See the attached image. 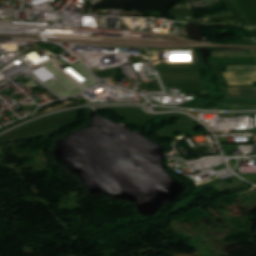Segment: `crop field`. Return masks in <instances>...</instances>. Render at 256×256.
<instances>
[{
    "label": "crop field",
    "mask_w": 256,
    "mask_h": 256,
    "mask_svg": "<svg viewBox=\"0 0 256 256\" xmlns=\"http://www.w3.org/2000/svg\"><path fill=\"white\" fill-rule=\"evenodd\" d=\"M77 116L78 113L73 112L40 120L0 138V144L15 140L39 137L54 132L75 124Z\"/></svg>",
    "instance_id": "1"
},
{
    "label": "crop field",
    "mask_w": 256,
    "mask_h": 256,
    "mask_svg": "<svg viewBox=\"0 0 256 256\" xmlns=\"http://www.w3.org/2000/svg\"><path fill=\"white\" fill-rule=\"evenodd\" d=\"M223 75L228 85H252L256 81V66H227Z\"/></svg>",
    "instance_id": "2"
},
{
    "label": "crop field",
    "mask_w": 256,
    "mask_h": 256,
    "mask_svg": "<svg viewBox=\"0 0 256 256\" xmlns=\"http://www.w3.org/2000/svg\"><path fill=\"white\" fill-rule=\"evenodd\" d=\"M230 94L256 95V88H229Z\"/></svg>",
    "instance_id": "3"
},
{
    "label": "crop field",
    "mask_w": 256,
    "mask_h": 256,
    "mask_svg": "<svg viewBox=\"0 0 256 256\" xmlns=\"http://www.w3.org/2000/svg\"><path fill=\"white\" fill-rule=\"evenodd\" d=\"M245 57V56H252L250 52H243V53H223V54H212L211 57Z\"/></svg>",
    "instance_id": "4"
},
{
    "label": "crop field",
    "mask_w": 256,
    "mask_h": 256,
    "mask_svg": "<svg viewBox=\"0 0 256 256\" xmlns=\"http://www.w3.org/2000/svg\"><path fill=\"white\" fill-rule=\"evenodd\" d=\"M242 51H249V50H214L212 53H222V52H242Z\"/></svg>",
    "instance_id": "5"
},
{
    "label": "crop field",
    "mask_w": 256,
    "mask_h": 256,
    "mask_svg": "<svg viewBox=\"0 0 256 256\" xmlns=\"http://www.w3.org/2000/svg\"><path fill=\"white\" fill-rule=\"evenodd\" d=\"M84 109H89V108H84ZM79 110H82V109H79ZM89 110H91V109H89ZM75 111H78V110H75ZM55 115H57V114H55ZM51 116H53V115H51ZM38 121V120H37ZM20 128V127H19ZM18 129V128H17ZM13 131V130H12ZM11 132V131H10ZM9 133V132H8ZM7 134V133H6ZM5 135V134H4ZM3 136V135H2ZM1 137V136H0Z\"/></svg>",
    "instance_id": "6"
},
{
    "label": "crop field",
    "mask_w": 256,
    "mask_h": 256,
    "mask_svg": "<svg viewBox=\"0 0 256 256\" xmlns=\"http://www.w3.org/2000/svg\"><path fill=\"white\" fill-rule=\"evenodd\" d=\"M254 52V54H255V56H256V51H253Z\"/></svg>",
    "instance_id": "7"
}]
</instances>
